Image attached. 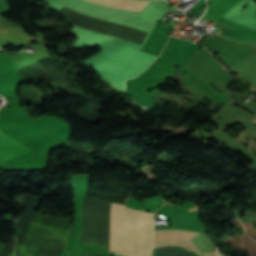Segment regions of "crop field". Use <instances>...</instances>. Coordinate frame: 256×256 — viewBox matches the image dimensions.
Returning <instances> with one entry per match:
<instances>
[{
  "instance_id": "8a807250",
  "label": "crop field",
  "mask_w": 256,
  "mask_h": 256,
  "mask_svg": "<svg viewBox=\"0 0 256 256\" xmlns=\"http://www.w3.org/2000/svg\"><path fill=\"white\" fill-rule=\"evenodd\" d=\"M112 205H123L112 203ZM109 250L129 256H150L153 215L112 206Z\"/></svg>"
},
{
  "instance_id": "34b2d1b8",
  "label": "crop field",
  "mask_w": 256,
  "mask_h": 256,
  "mask_svg": "<svg viewBox=\"0 0 256 256\" xmlns=\"http://www.w3.org/2000/svg\"><path fill=\"white\" fill-rule=\"evenodd\" d=\"M32 151L0 131V164L21 153Z\"/></svg>"
},
{
  "instance_id": "ac0d7876",
  "label": "crop field",
  "mask_w": 256,
  "mask_h": 256,
  "mask_svg": "<svg viewBox=\"0 0 256 256\" xmlns=\"http://www.w3.org/2000/svg\"><path fill=\"white\" fill-rule=\"evenodd\" d=\"M199 233L182 231V230H163L155 231L154 246L163 245H180L188 249L200 252L195 245L190 241L194 236Z\"/></svg>"
},
{
  "instance_id": "f4fd0767",
  "label": "crop field",
  "mask_w": 256,
  "mask_h": 256,
  "mask_svg": "<svg viewBox=\"0 0 256 256\" xmlns=\"http://www.w3.org/2000/svg\"><path fill=\"white\" fill-rule=\"evenodd\" d=\"M205 256H218L215 253L204 254ZM220 256V255H219Z\"/></svg>"
},
{
  "instance_id": "412701ff",
  "label": "crop field",
  "mask_w": 256,
  "mask_h": 256,
  "mask_svg": "<svg viewBox=\"0 0 256 256\" xmlns=\"http://www.w3.org/2000/svg\"><path fill=\"white\" fill-rule=\"evenodd\" d=\"M92 3L112 6L120 9L141 11L150 1L145 0H87Z\"/></svg>"
}]
</instances>
